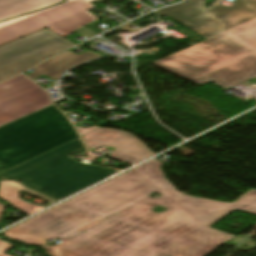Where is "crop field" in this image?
I'll return each instance as SVG.
<instances>
[{
	"instance_id": "8",
	"label": "crop field",
	"mask_w": 256,
	"mask_h": 256,
	"mask_svg": "<svg viewBox=\"0 0 256 256\" xmlns=\"http://www.w3.org/2000/svg\"><path fill=\"white\" fill-rule=\"evenodd\" d=\"M83 139L88 149L101 146L115 149L108 156L131 165L155 155L136 136L123 131L100 128Z\"/></svg>"
},
{
	"instance_id": "11",
	"label": "crop field",
	"mask_w": 256,
	"mask_h": 256,
	"mask_svg": "<svg viewBox=\"0 0 256 256\" xmlns=\"http://www.w3.org/2000/svg\"><path fill=\"white\" fill-rule=\"evenodd\" d=\"M22 190H24L28 193H31L41 199L49 201V202H51L50 204L55 202V201H52L50 199H47L43 196H40L38 194H35V193L27 190L26 188H24L23 186L19 185L18 183L14 182V181H0V198H2L8 204L14 206L18 210H20L28 215L44 208V207L39 208V207L30 205V204L20 200L19 192ZM50 204H48V205H50Z\"/></svg>"
},
{
	"instance_id": "10",
	"label": "crop field",
	"mask_w": 256,
	"mask_h": 256,
	"mask_svg": "<svg viewBox=\"0 0 256 256\" xmlns=\"http://www.w3.org/2000/svg\"><path fill=\"white\" fill-rule=\"evenodd\" d=\"M97 56H101V54L88 51L77 56L67 51L61 55L43 62L42 64H39V66L36 67L33 72L27 75L32 79H35L42 74L53 79H58L67 68Z\"/></svg>"
},
{
	"instance_id": "14",
	"label": "crop field",
	"mask_w": 256,
	"mask_h": 256,
	"mask_svg": "<svg viewBox=\"0 0 256 256\" xmlns=\"http://www.w3.org/2000/svg\"><path fill=\"white\" fill-rule=\"evenodd\" d=\"M35 86L37 85L22 74L18 75L7 82L0 84V101Z\"/></svg>"
},
{
	"instance_id": "4",
	"label": "crop field",
	"mask_w": 256,
	"mask_h": 256,
	"mask_svg": "<svg viewBox=\"0 0 256 256\" xmlns=\"http://www.w3.org/2000/svg\"><path fill=\"white\" fill-rule=\"evenodd\" d=\"M78 138L54 106L0 127L3 171Z\"/></svg>"
},
{
	"instance_id": "18",
	"label": "crop field",
	"mask_w": 256,
	"mask_h": 256,
	"mask_svg": "<svg viewBox=\"0 0 256 256\" xmlns=\"http://www.w3.org/2000/svg\"><path fill=\"white\" fill-rule=\"evenodd\" d=\"M146 197H148V196H146ZM145 198V197H144ZM143 199V198H142ZM141 200V199H140ZM139 201V200H138Z\"/></svg>"
},
{
	"instance_id": "3",
	"label": "crop field",
	"mask_w": 256,
	"mask_h": 256,
	"mask_svg": "<svg viewBox=\"0 0 256 256\" xmlns=\"http://www.w3.org/2000/svg\"><path fill=\"white\" fill-rule=\"evenodd\" d=\"M83 151L85 149L78 138L4 172L1 179L17 180L29 190L56 200L118 172L105 167L83 165L67 156Z\"/></svg>"
},
{
	"instance_id": "5",
	"label": "crop field",
	"mask_w": 256,
	"mask_h": 256,
	"mask_svg": "<svg viewBox=\"0 0 256 256\" xmlns=\"http://www.w3.org/2000/svg\"><path fill=\"white\" fill-rule=\"evenodd\" d=\"M95 0H67L66 3L0 23V45L49 29L64 37L97 18L90 12Z\"/></svg>"
},
{
	"instance_id": "17",
	"label": "crop field",
	"mask_w": 256,
	"mask_h": 256,
	"mask_svg": "<svg viewBox=\"0 0 256 256\" xmlns=\"http://www.w3.org/2000/svg\"><path fill=\"white\" fill-rule=\"evenodd\" d=\"M4 208H6V206L0 202V216H1V212L3 211Z\"/></svg>"
},
{
	"instance_id": "15",
	"label": "crop field",
	"mask_w": 256,
	"mask_h": 256,
	"mask_svg": "<svg viewBox=\"0 0 256 256\" xmlns=\"http://www.w3.org/2000/svg\"><path fill=\"white\" fill-rule=\"evenodd\" d=\"M15 246H12L10 244L4 243L2 241H0V256H8L6 254H4L7 250L13 248Z\"/></svg>"
},
{
	"instance_id": "7",
	"label": "crop field",
	"mask_w": 256,
	"mask_h": 256,
	"mask_svg": "<svg viewBox=\"0 0 256 256\" xmlns=\"http://www.w3.org/2000/svg\"><path fill=\"white\" fill-rule=\"evenodd\" d=\"M75 46L45 29L0 47V81Z\"/></svg>"
},
{
	"instance_id": "1",
	"label": "crop field",
	"mask_w": 256,
	"mask_h": 256,
	"mask_svg": "<svg viewBox=\"0 0 256 256\" xmlns=\"http://www.w3.org/2000/svg\"><path fill=\"white\" fill-rule=\"evenodd\" d=\"M145 198L47 246L51 256H206L234 235L209 227L233 210L256 215V200L226 203L189 196L164 177L152 159L4 232L21 243L44 246L150 193ZM180 194V195H177ZM155 205L168 208L157 214Z\"/></svg>"
},
{
	"instance_id": "2",
	"label": "crop field",
	"mask_w": 256,
	"mask_h": 256,
	"mask_svg": "<svg viewBox=\"0 0 256 256\" xmlns=\"http://www.w3.org/2000/svg\"><path fill=\"white\" fill-rule=\"evenodd\" d=\"M152 64L197 83L212 81L223 88L256 76V53L224 32Z\"/></svg>"
},
{
	"instance_id": "13",
	"label": "crop field",
	"mask_w": 256,
	"mask_h": 256,
	"mask_svg": "<svg viewBox=\"0 0 256 256\" xmlns=\"http://www.w3.org/2000/svg\"><path fill=\"white\" fill-rule=\"evenodd\" d=\"M225 32L256 52V19Z\"/></svg>"
},
{
	"instance_id": "16",
	"label": "crop field",
	"mask_w": 256,
	"mask_h": 256,
	"mask_svg": "<svg viewBox=\"0 0 256 256\" xmlns=\"http://www.w3.org/2000/svg\"><path fill=\"white\" fill-rule=\"evenodd\" d=\"M243 196L251 197V198H255L256 199V190L252 189V190L246 192L245 194H243Z\"/></svg>"
},
{
	"instance_id": "9",
	"label": "crop field",
	"mask_w": 256,
	"mask_h": 256,
	"mask_svg": "<svg viewBox=\"0 0 256 256\" xmlns=\"http://www.w3.org/2000/svg\"><path fill=\"white\" fill-rule=\"evenodd\" d=\"M51 99L39 86L0 102V126L52 106Z\"/></svg>"
},
{
	"instance_id": "6",
	"label": "crop field",
	"mask_w": 256,
	"mask_h": 256,
	"mask_svg": "<svg viewBox=\"0 0 256 256\" xmlns=\"http://www.w3.org/2000/svg\"><path fill=\"white\" fill-rule=\"evenodd\" d=\"M160 15L171 16L208 39L222 31L256 18V0H236L231 7L215 5L204 8L203 0L163 8Z\"/></svg>"
},
{
	"instance_id": "12",
	"label": "crop field",
	"mask_w": 256,
	"mask_h": 256,
	"mask_svg": "<svg viewBox=\"0 0 256 256\" xmlns=\"http://www.w3.org/2000/svg\"><path fill=\"white\" fill-rule=\"evenodd\" d=\"M62 1L63 0H0V20Z\"/></svg>"
}]
</instances>
